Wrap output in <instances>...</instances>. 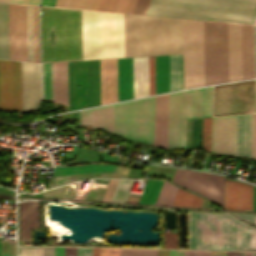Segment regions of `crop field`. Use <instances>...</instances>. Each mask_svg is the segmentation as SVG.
<instances>
[{
    "label": "crop field",
    "mask_w": 256,
    "mask_h": 256,
    "mask_svg": "<svg viewBox=\"0 0 256 256\" xmlns=\"http://www.w3.org/2000/svg\"><path fill=\"white\" fill-rule=\"evenodd\" d=\"M83 60L125 57L124 14L82 10ZM126 57L182 53L181 19L125 14Z\"/></svg>",
    "instance_id": "1"
},
{
    "label": "crop field",
    "mask_w": 256,
    "mask_h": 256,
    "mask_svg": "<svg viewBox=\"0 0 256 256\" xmlns=\"http://www.w3.org/2000/svg\"><path fill=\"white\" fill-rule=\"evenodd\" d=\"M155 96L82 111L81 124L153 144Z\"/></svg>",
    "instance_id": "2"
},
{
    "label": "crop field",
    "mask_w": 256,
    "mask_h": 256,
    "mask_svg": "<svg viewBox=\"0 0 256 256\" xmlns=\"http://www.w3.org/2000/svg\"><path fill=\"white\" fill-rule=\"evenodd\" d=\"M42 62L82 60L81 10L41 7Z\"/></svg>",
    "instance_id": "3"
},
{
    "label": "crop field",
    "mask_w": 256,
    "mask_h": 256,
    "mask_svg": "<svg viewBox=\"0 0 256 256\" xmlns=\"http://www.w3.org/2000/svg\"><path fill=\"white\" fill-rule=\"evenodd\" d=\"M145 14L254 24L256 0H150Z\"/></svg>",
    "instance_id": "4"
},
{
    "label": "crop field",
    "mask_w": 256,
    "mask_h": 256,
    "mask_svg": "<svg viewBox=\"0 0 256 256\" xmlns=\"http://www.w3.org/2000/svg\"><path fill=\"white\" fill-rule=\"evenodd\" d=\"M188 249L247 250V224L229 213L188 212Z\"/></svg>",
    "instance_id": "5"
},
{
    "label": "crop field",
    "mask_w": 256,
    "mask_h": 256,
    "mask_svg": "<svg viewBox=\"0 0 256 256\" xmlns=\"http://www.w3.org/2000/svg\"><path fill=\"white\" fill-rule=\"evenodd\" d=\"M10 59L39 62L38 6L9 4Z\"/></svg>",
    "instance_id": "6"
},
{
    "label": "crop field",
    "mask_w": 256,
    "mask_h": 256,
    "mask_svg": "<svg viewBox=\"0 0 256 256\" xmlns=\"http://www.w3.org/2000/svg\"><path fill=\"white\" fill-rule=\"evenodd\" d=\"M205 85L228 81L227 23L203 21Z\"/></svg>",
    "instance_id": "7"
},
{
    "label": "crop field",
    "mask_w": 256,
    "mask_h": 256,
    "mask_svg": "<svg viewBox=\"0 0 256 256\" xmlns=\"http://www.w3.org/2000/svg\"><path fill=\"white\" fill-rule=\"evenodd\" d=\"M255 80L214 86L213 116L254 112Z\"/></svg>",
    "instance_id": "8"
},
{
    "label": "crop field",
    "mask_w": 256,
    "mask_h": 256,
    "mask_svg": "<svg viewBox=\"0 0 256 256\" xmlns=\"http://www.w3.org/2000/svg\"><path fill=\"white\" fill-rule=\"evenodd\" d=\"M171 181L223 206L224 177L222 176L177 169Z\"/></svg>",
    "instance_id": "9"
},
{
    "label": "crop field",
    "mask_w": 256,
    "mask_h": 256,
    "mask_svg": "<svg viewBox=\"0 0 256 256\" xmlns=\"http://www.w3.org/2000/svg\"><path fill=\"white\" fill-rule=\"evenodd\" d=\"M0 109L22 111L21 62L0 60Z\"/></svg>",
    "instance_id": "10"
},
{
    "label": "crop field",
    "mask_w": 256,
    "mask_h": 256,
    "mask_svg": "<svg viewBox=\"0 0 256 256\" xmlns=\"http://www.w3.org/2000/svg\"><path fill=\"white\" fill-rule=\"evenodd\" d=\"M187 90L170 94L168 148H185Z\"/></svg>",
    "instance_id": "11"
},
{
    "label": "crop field",
    "mask_w": 256,
    "mask_h": 256,
    "mask_svg": "<svg viewBox=\"0 0 256 256\" xmlns=\"http://www.w3.org/2000/svg\"><path fill=\"white\" fill-rule=\"evenodd\" d=\"M236 115L213 117L212 152L235 155Z\"/></svg>",
    "instance_id": "12"
},
{
    "label": "crop field",
    "mask_w": 256,
    "mask_h": 256,
    "mask_svg": "<svg viewBox=\"0 0 256 256\" xmlns=\"http://www.w3.org/2000/svg\"><path fill=\"white\" fill-rule=\"evenodd\" d=\"M224 208L252 211V186L225 177Z\"/></svg>",
    "instance_id": "13"
},
{
    "label": "crop field",
    "mask_w": 256,
    "mask_h": 256,
    "mask_svg": "<svg viewBox=\"0 0 256 256\" xmlns=\"http://www.w3.org/2000/svg\"><path fill=\"white\" fill-rule=\"evenodd\" d=\"M23 111L35 110L40 101L39 64L22 62Z\"/></svg>",
    "instance_id": "14"
},
{
    "label": "crop field",
    "mask_w": 256,
    "mask_h": 256,
    "mask_svg": "<svg viewBox=\"0 0 256 256\" xmlns=\"http://www.w3.org/2000/svg\"><path fill=\"white\" fill-rule=\"evenodd\" d=\"M242 79L255 78L254 26L241 24Z\"/></svg>",
    "instance_id": "15"
},
{
    "label": "crop field",
    "mask_w": 256,
    "mask_h": 256,
    "mask_svg": "<svg viewBox=\"0 0 256 256\" xmlns=\"http://www.w3.org/2000/svg\"><path fill=\"white\" fill-rule=\"evenodd\" d=\"M212 87L188 90L187 118L211 116Z\"/></svg>",
    "instance_id": "16"
},
{
    "label": "crop field",
    "mask_w": 256,
    "mask_h": 256,
    "mask_svg": "<svg viewBox=\"0 0 256 256\" xmlns=\"http://www.w3.org/2000/svg\"><path fill=\"white\" fill-rule=\"evenodd\" d=\"M169 94L156 96L154 144L167 148Z\"/></svg>",
    "instance_id": "17"
},
{
    "label": "crop field",
    "mask_w": 256,
    "mask_h": 256,
    "mask_svg": "<svg viewBox=\"0 0 256 256\" xmlns=\"http://www.w3.org/2000/svg\"><path fill=\"white\" fill-rule=\"evenodd\" d=\"M20 240H30V228H38V201L19 203Z\"/></svg>",
    "instance_id": "18"
},
{
    "label": "crop field",
    "mask_w": 256,
    "mask_h": 256,
    "mask_svg": "<svg viewBox=\"0 0 256 256\" xmlns=\"http://www.w3.org/2000/svg\"><path fill=\"white\" fill-rule=\"evenodd\" d=\"M252 114L237 115L236 155L250 158Z\"/></svg>",
    "instance_id": "19"
},
{
    "label": "crop field",
    "mask_w": 256,
    "mask_h": 256,
    "mask_svg": "<svg viewBox=\"0 0 256 256\" xmlns=\"http://www.w3.org/2000/svg\"><path fill=\"white\" fill-rule=\"evenodd\" d=\"M133 98L132 58L118 59V101Z\"/></svg>",
    "instance_id": "20"
},
{
    "label": "crop field",
    "mask_w": 256,
    "mask_h": 256,
    "mask_svg": "<svg viewBox=\"0 0 256 256\" xmlns=\"http://www.w3.org/2000/svg\"><path fill=\"white\" fill-rule=\"evenodd\" d=\"M54 102L68 104L67 62L53 63Z\"/></svg>",
    "instance_id": "21"
},
{
    "label": "crop field",
    "mask_w": 256,
    "mask_h": 256,
    "mask_svg": "<svg viewBox=\"0 0 256 256\" xmlns=\"http://www.w3.org/2000/svg\"><path fill=\"white\" fill-rule=\"evenodd\" d=\"M134 98L142 96L141 82L149 81L148 57L133 58Z\"/></svg>",
    "instance_id": "22"
},
{
    "label": "crop field",
    "mask_w": 256,
    "mask_h": 256,
    "mask_svg": "<svg viewBox=\"0 0 256 256\" xmlns=\"http://www.w3.org/2000/svg\"><path fill=\"white\" fill-rule=\"evenodd\" d=\"M115 166L110 164H91L54 168L53 176L114 171Z\"/></svg>",
    "instance_id": "23"
},
{
    "label": "crop field",
    "mask_w": 256,
    "mask_h": 256,
    "mask_svg": "<svg viewBox=\"0 0 256 256\" xmlns=\"http://www.w3.org/2000/svg\"><path fill=\"white\" fill-rule=\"evenodd\" d=\"M0 58L9 59L8 4L0 3Z\"/></svg>",
    "instance_id": "24"
},
{
    "label": "crop field",
    "mask_w": 256,
    "mask_h": 256,
    "mask_svg": "<svg viewBox=\"0 0 256 256\" xmlns=\"http://www.w3.org/2000/svg\"><path fill=\"white\" fill-rule=\"evenodd\" d=\"M168 91V55L156 56V94Z\"/></svg>",
    "instance_id": "25"
},
{
    "label": "crop field",
    "mask_w": 256,
    "mask_h": 256,
    "mask_svg": "<svg viewBox=\"0 0 256 256\" xmlns=\"http://www.w3.org/2000/svg\"><path fill=\"white\" fill-rule=\"evenodd\" d=\"M170 91L182 89L181 55H169Z\"/></svg>",
    "instance_id": "26"
},
{
    "label": "crop field",
    "mask_w": 256,
    "mask_h": 256,
    "mask_svg": "<svg viewBox=\"0 0 256 256\" xmlns=\"http://www.w3.org/2000/svg\"><path fill=\"white\" fill-rule=\"evenodd\" d=\"M136 0H99L96 10L131 13Z\"/></svg>",
    "instance_id": "27"
},
{
    "label": "crop field",
    "mask_w": 256,
    "mask_h": 256,
    "mask_svg": "<svg viewBox=\"0 0 256 256\" xmlns=\"http://www.w3.org/2000/svg\"><path fill=\"white\" fill-rule=\"evenodd\" d=\"M164 181L148 179L138 204L154 205Z\"/></svg>",
    "instance_id": "28"
},
{
    "label": "crop field",
    "mask_w": 256,
    "mask_h": 256,
    "mask_svg": "<svg viewBox=\"0 0 256 256\" xmlns=\"http://www.w3.org/2000/svg\"><path fill=\"white\" fill-rule=\"evenodd\" d=\"M43 98L53 101L52 63L42 64Z\"/></svg>",
    "instance_id": "29"
},
{
    "label": "crop field",
    "mask_w": 256,
    "mask_h": 256,
    "mask_svg": "<svg viewBox=\"0 0 256 256\" xmlns=\"http://www.w3.org/2000/svg\"><path fill=\"white\" fill-rule=\"evenodd\" d=\"M98 0H57L55 6L95 10Z\"/></svg>",
    "instance_id": "30"
},
{
    "label": "crop field",
    "mask_w": 256,
    "mask_h": 256,
    "mask_svg": "<svg viewBox=\"0 0 256 256\" xmlns=\"http://www.w3.org/2000/svg\"><path fill=\"white\" fill-rule=\"evenodd\" d=\"M177 189V187L165 181L155 205L171 206Z\"/></svg>",
    "instance_id": "31"
},
{
    "label": "crop field",
    "mask_w": 256,
    "mask_h": 256,
    "mask_svg": "<svg viewBox=\"0 0 256 256\" xmlns=\"http://www.w3.org/2000/svg\"><path fill=\"white\" fill-rule=\"evenodd\" d=\"M134 180H119L110 202L124 203Z\"/></svg>",
    "instance_id": "32"
},
{
    "label": "crop field",
    "mask_w": 256,
    "mask_h": 256,
    "mask_svg": "<svg viewBox=\"0 0 256 256\" xmlns=\"http://www.w3.org/2000/svg\"><path fill=\"white\" fill-rule=\"evenodd\" d=\"M187 192L178 189L173 204L198 206L202 198Z\"/></svg>",
    "instance_id": "33"
},
{
    "label": "crop field",
    "mask_w": 256,
    "mask_h": 256,
    "mask_svg": "<svg viewBox=\"0 0 256 256\" xmlns=\"http://www.w3.org/2000/svg\"><path fill=\"white\" fill-rule=\"evenodd\" d=\"M119 256H157V250L119 249Z\"/></svg>",
    "instance_id": "34"
},
{
    "label": "crop field",
    "mask_w": 256,
    "mask_h": 256,
    "mask_svg": "<svg viewBox=\"0 0 256 256\" xmlns=\"http://www.w3.org/2000/svg\"><path fill=\"white\" fill-rule=\"evenodd\" d=\"M18 256H42V247L18 246Z\"/></svg>",
    "instance_id": "35"
},
{
    "label": "crop field",
    "mask_w": 256,
    "mask_h": 256,
    "mask_svg": "<svg viewBox=\"0 0 256 256\" xmlns=\"http://www.w3.org/2000/svg\"><path fill=\"white\" fill-rule=\"evenodd\" d=\"M164 248L178 249L177 233L164 232Z\"/></svg>",
    "instance_id": "36"
},
{
    "label": "crop field",
    "mask_w": 256,
    "mask_h": 256,
    "mask_svg": "<svg viewBox=\"0 0 256 256\" xmlns=\"http://www.w3.org/2000/svg\"><path fill=\"white\" fill-rule=\"evenodd\" d=\"M117 181L118 180H111V179L109 180L108 185H107L106 190H105V193H104L103 198H102L101 201H105V202L110 201Z\"/></svg>",
    "instance_id": "37"
},
{
    "label": "crop field",
    "mask_w": 256,
    "mask_h": 256,
    "mask_svg": "<svg viewBox=\"0 0 256 256\" xmlns=\"http://www.w3.org/2000/svg\"><path fill=\"white\" fill-rule=\"evenodd\" d=\"M251 158L256 159V114H253Z\"/></svg>",
    "instance_id": "38"
},
{
    "label": "crop field",
    "mask_w": 256,
    "mask_h": 256,
    "mask_svg": "<svg viewBox=\"0 0 256 256\" xmlns=\"http://www.w3.org/2000/svg\"><path fill=\"white\" fill-rule=\"evenodd\" d=\"M149 0H137L132 13L144 14Z\"/></svg>",
    "instance_id": "39"
},
{
    "label": "crop field",
    "mask_w": 256,
    "mask_h": 256,
    "mask_svg": "<svg viewBox=\"0 0 256 256\" xmlns=\"http://www.w3.org/2000/svg\"><path fill=\"white\" fill-rule=\"evenodd\" d=\"M248 250H256L255 230L250 227H248Z\"/></svg>",
    "instance_id": "40"
},
{
    "label": "crop field",
    "mask_w": 256,
    "mask_h": 256,
    "mask_svg": "<svg viewBox=\"0 0 256 256\" xmlns=\"http://www.w3.org/2000/svg\"><path fill=\"white\" fill-rule=\"evenodd\" d=\"M158 256H167V250H158ZM168 256H184V250H168Z\"/></svg>",
    "instance_id": "41"
},
{
    "label": "crop field",
    "mask_w": 256,
    "mask_h": 256,
    "mask_svg": "<svg viewBox=\"0 0 256 256\" xmlns=\"http://www.w3.org/2000/svg\"><path fill=\"white\" fill-rule=\"evenodd\" d=\"M233 214H235L240 219H242L244 221H247V222L256 226V215H253V214H239V213H233Z\"/></svg>",
    "instance_id": "42"
},
{
    "label": "crop field",
    "mask_w": 256,
    "mask_h": 256,
    "mask_svg": "<svg viewBox=\"0 0 256 256\" xmlns=\"http://www.w3.org/2000/svg\"><path fill=\"white\" fill-rule=\"evenodd\" d=\"M99 256H118V249L99 248Z\"/></svg>",
    "instance_id": "43"
},
{
    "label": "crop field",
    "mask_w": 256,
    "mask_h": 256,
    "mask_svg": "<svg viewBox=\"0 0 256 256\" xmlns=\"http://www.w3.org/2000/svg\"><path fill=\"white\" fill-rule=\"evenodd\" d=\"M185 256H210V251L185 250Z\"/></svg>",
    "instance_id": "44"
},
{
    "label": "crop field",
    "mask_w": 256,
    "mask_h": 256,
    "mask_svg": "<svg viewBox=\"0 0 256 256\" xmlns=\"http://www.w3.org/2000/svg\"><path fill=\"white\" fill-rule=\"evenodd\" d=\"M77 256H92V248H77Z\"/></svg>",
    "instance_id": "45"
},
{
    "label": "crop field",
    "mask_w": 256,
    "mask_h": 256,
    "mask_svg": "<svg viewBox=\"0 0 256 256\" xmlns=\"http://www.w3.org/2000/svg\"><path fill=\"white\" fill-rule=\"evenodd\" d=\"M43 256H54V247H43Z\"/></svg>",
    "instance_id": "46"
},
{
    "label": "crop field",
    "mask_w": 256,
    "mask_h": 256,
    "mask_svg": "<svg viewBox=\"0 0 256 256\" xmlns=\"http://www.w3.org/2000/svg\"><path fill=\"white\" fill-rule=\"evenodd\" d=\"M65 256H76V248L65 247Z\"/></svg>",
    "instance_id": "47"
},
{
    "label": "crop field",
    "mask_w": 256,
    "mask_h": 256,
    "mask_svg": "<svg viewBox=\"0 0 256 256\" xmlns=\"http://www.w3.org/2000/svg\"><path fill=\"white\" fill-rule=\"evenodd\" d=\"M10 2L38 4L39 0H11Z\"/></svg>",
    "instance_id": "48"
},
{
    "label": "crop field",
    "mask_w": 256,
    "mask_h": 256,
    "mask_svg": "<svg viewBox=\"0 0 256 256\" xmlns=\"http://www.w3.org/2000/svg\"><path fill=\"white\" fill-rule=\"evenodd\" d=\"M55 256H64V247H55Z\"/></svg>",
    "instance_id": "49"
},
{
    "label": "crop field",
    "mask_w": 256,
    "mask_h": 256,
    "mask_svg": "<svg viewBox=\"0 0 256 256\" xmlns=\"http://www.w3.org/2000/svg\"><path fill=\"white\" fill-rule=\"evenodd\" d=\"M56 0H42L41 5H46V6H54Z\"/></svg>",
    "instance_id": "50"
},
{
    "label": "crop field",
    "mask_w": 256,
    "mask_h": 256,
    "mask_svg": "<svg viewBox=\"0 0 256 256\" xmlns=\"http://www.w3.org/2000/svg\"><path fill=\"white\" fill-rule=\"evenodd\" d=\"M241 256H256V252H241Z\"/></svg>",
    "instance_id": "51"
},
{
    "label": "crop field",
    "mask_w": 256,
    "mask_h": 256,
    "mask_svg": "<svg viewBox=\"0 0 256 256\" xmlns=\"http://www.w3.org/2000/svg\"><path fill=\"white\" fill-rule=\"evenodd\" d=\"M226 256H240V252H226Z\"/></svg>",
    "instance_id": "52"
},
{
    "label": "crop field",
    "mask_w": 256,
    "mask_h": 256,
    "mask_svg": "<svg viewBox=\"0 0 256 256\" xmlns=\"http://www.w3.org/2000/svg\"><path fill=\"white\" fill-rule=\"evenodd\" d=\"M93 256H98V248H93Z\"/></svg>",
    "instance_id": "53"
},
{
    "label": "crop field",
    "mask_w": 256,
    "mask_h": 256,
    "mask_svg": "<svg viewBox=\"0 0 256 256\" xmlns=\"http://www.w3.org/2000/svg\"><path fill=\"white\" fill-rule=\"evenodd\" d=\"M94 143H95V132H93V135H92V141H91V144H93V145H94Z\"/></svg>",
    "instance_id": "54"
},
{
    "label": "crop field",
    "mask_w": 256,
    "mask_h": 256,
    "mask_svg": "<svg viewBox=\"0 0 256 256\" xmlns=\"http://www.w3.org/2000/svg\"><path fill=\"white\" fill-rule=\"evenodd\" d=\"M209 158H210V155L208 156V160H207V163H206V167H205V168H208V165H209Z\"/></svg>",
    "instance_id": "55"
},
{
    "label": "crop field",
    "mask_w": 256,
    "mask_h": 256,
    "mask_svg": "<svg viewBox=\"0 0 256 256\" xmlns=\"http://www.w3.org/2000/svg\"><path fill=\"white\" fill-rule=\"evenodd\" d=\"M0 1L9 2L10 0H0Z\"/></svg>",
    "instance_id": "56"
},
{
    "label": "crop field",
    "mask_w": 256,
    "mask_h": 256,
    "mask_svg": "<svg viewBox=\"0 0 256 256\" xmlns=\"http://www.w3.org/2000/svg\"><path fill=\"white\" fill-rule=\"evenodd\" d=\"M255 112H256V104H255Z\"/></svg>",
    "instance_id": "57"
},
{
    "label": "crop field",
    "mask_w": 256,
    "mask_h": 256,
    "mask_svg": "<svg viewBox=\"0 0 256 256\" xmlns=\"http://www.w3.org/2000/svg\"><path fill=\"white\" fill-rule=\"evenodd\" d=\"M2 256H9V255H2Z\"/></svg>",
    "instance_id": "58"
},
{
    "label": "crop field",
    "mask_w": 256,
    "mask_h": 256,
    "mask_svg": "<svg viewBox=\"0 0 256 256\" xmlns=\"http://www.w3.org/2000/svg\"><path fill=\"white\" fill-rule=\"evenodd\" d=\"M10 256H12V255H10Z\"/></svg>",
    "instance_id": "59"
},
{
    "label": "crop field",
    "mask_w": 256,
    "mask_h": 256,
    "mask_svg": "<svg viewBox=\"0 0 256 256\" xmlns=\"http://www.w3.org/2000/svg\"><path fill=\"white\" fill-rule=\"evenodd\" d=\"M211 256H213V255H211Z\"/></svg>",
    "instance_id": "60"
},
{
    "label": "crop field",
    "mask_w": 256,
    "mask_h": 256,
    "mask_svg": "<svg viewBox=\"0 0 256 256\" xmlns=\"http://www.w3.org/2000/svg\"><path fill=\"white\" fill-rule=\"evenodd\" d=\"M1 256V255H0Z\"/></svg>",
    "instance_id": "61"
}]
</instances>
